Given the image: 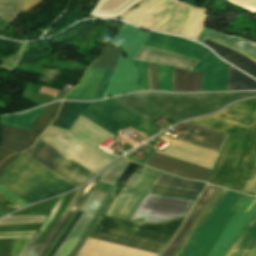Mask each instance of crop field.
Returning a JSON list of instances; mask_svg holds the SVG:
<instances>
[{
  "mask_svg": "<svg viewBox=\"0 0 256 256\" xmlns=\"http://www.w3.org/2000/svg\"><path fill=\"white\" fill-rule=\"evenodd\" d=\"M69 130L96 147L113 136L81 115ZM69 130L49 126L38 140L44 141L95 174L116 158Z\"/></svg>",
  "mask_w": 256,
  "mask_h": 256,
  "instance_id": "crop-field-5",
  "label": "crop field"
},
{
  "mask_svg": "<svg viewBox=\"0 0 256 256\" xmlns=\"http://www.w3.org/2000/svg\"><path fill=\"white\" fill-rule=\"evenodd\" d=\"M193 204V201L147 193L130 220L162 223L187 215Z\"/></svg>",
  "mask_w": 256,
  "mask_h": 256,
  "instance_id": "crop-field-10",
  "label": "crop field"
},
{
  "mask_svg": "<svg viewBox=\"0 0 256 256\" xmlns=\"http://www.w3.org/2000/svg\"><path fill=\"white\" fill-rule=\"evenodd\" d=\"M11 154H15L13 152L7 151V150H3L0 149V162L7 156L11 155Z\"/></svg>",
  "mask_w": 256,
  "mask_h": 256,
  "instance_id": "crop-field-58",
  "label": "crop field"
},
{
  "mask_svg": "<svg viewBox=\"0 0 256 256\" xmlns=\"http://www.w3.org/2000/svg\"><path fill=\"white\" fill-rule=\"evenodd\" d=\"M70 103L71 102H63L62 103V105L60 107V110H59V113H58V116H57V118L55 119V121L51 125H54L56 127L58 126L59 122L61 121V119L65 115L66 111L68 110V108L70 106Z\"/></svg>",
  "mask_w": 256,
  "mask_h": 256,
  "instance_id": "crop-field-52",
  "label": "crop field"
},
{
  "mask_svg": "<svg viewBox=\"0 0 256 256\" xmlns=\"http://www.w3.org/2000/svg\"><path fill=\"white\" fill-rule=\"evenodd\" d=\"M137 167V164H134L130 162L128 167L125 169L121 177L118 179V182L126 184L132 173L134 172L135 168Z\"/></svg>",
  "mask_w": 256,
  "mask_h": 256,
  "instance_id": "crop-field-50",
  "label": "crop field"
},
{
  "mask_svg": "<svg viewBox=\"0 0 256 256\" xmlns=\"http://www.w3.org/2000/svg\"><path fill=\"white\" fill-rule=\"evenodd\" d=\"M99 177L96 178V180L93 182V184L91 185L90 189L88 190V192L86 193V195L84 196V198L82 199V201L80 202L79 206L77 207V209L75 210L74 214L72 215V217L69 219V221L67 222V224L65 225V227L63 228V230L61 231V233L59 234V236L57 237V239L55 240V242L52 244V246L49 248L47 254L45 256L48 255V253L50 252V250L53 248V246L56 244V242L59 240V238L61 237V235L63 234V232L65 231V229L67 228V226L69 225V223L71 222V220L73 219V217L75 216V214L77 213V211L79 210V208L81 207V205L83 204V202L85 201V199L87 198V196L89 195V193L91 192L93 186L95 185V183L98 181Z\"/></svg>",
  "mask_w": 256,
  "mask_h": 256,
  "instance_id": "crop-field-45",
  "label": "crop field"
},
{
  "mask_svg": "<svg viewBox=\"0 0 256 256\" xmlns=\"http://www.w3.org/2000/svg\"><path fill=\"white\" fill-rule=\"evenodd\" d=\"M134 64L137 71L138 89L149 90L148 73H147L148 63L134 61Z\"/></svg>",
  "mask_w": 256,
  "mask_h": 256,
  "instance_id": "crop-field-40",
  "label": "crop field"
},
{
  "mask_svg": "<svg viewBox=\"0 0 256 256\" xmlns=\"http://www.w3.org/2000/svg\"><path fill=\"white\" fill-rule=\"evenodd\" d=\"M143 47L182 56L176 53H172V52H168V51H164V50H160V49H156V48H152L144 45ZM143 47H141L140 50L137 52V54L134 56L133 58L134 60L146 61V62L172 66L177 68H183L188 70H191V68L195 65L196 61H198V60L192 61V60H195L192 58H189L192 60L185 59V58H188L185 56H182V57H185V58H182L175 55H171V54H167V53H163V52H159V51H155V50H151Z\"/></svg>",
  "mask_w": 256,
  "mask_h": 256,
  "instance_id": "crop-field-20",
  "label": "crop field"
},
{
  "mask_svg": "<svg viewBox=\"0 0 256 256\" xmlns=\"http://www.w3.org/2000/svg\"><path fill=\"white\" fill-rule=\"evenodd\" d=\"M91 103H74L72 102L68 112L61 121L59 127L69 129L75 122L78 115L84 111Z\"/></svg>",
  "mask_w": 256,
  "mask_h": 256,
  "instance_id": "crop-field-37",
  "label": "crop field"
},
{
  "mask_svg": "<svg viewBox=\"0 0 256 256\" xmlns=\"http://www.w3.org/2000/svg\"><path fill=\"white\" fill-rule=\"evenodd\" d=\"M207 36L228 42L233 45H236V46L241 47V48L256 55V42L255 41L245 39V38H242L239 36L234 37V36L226 35L219 31H215V30H211V29H207V28H204L202 33L197 38V41L203 43L204 39Z\"/></svg>",
  "mask_w": 256,
  "mask_h": 256,
  "instance_id": "crop-field-30",
  "label": "crop field"
},
{
  "mask_svg": "<svg viewBox=\"0 0 256 256\" xmlns=\"http://www.w3.org/2000/svg\"><path fill=\"white\" fill-rule=\"evenodd\" d=\"M23 153L76 186L95 175L42 141ZM23 153L0 174V185L20 198L32 204L76 187Z\"/></svg>",
  "mask_w": 256,
  "mask_h": 256,
  "instance_id": "crop-field-2",
  "label": "crop field"
},
{
  "mask_svg": "<svg viewBox=\"0 0 256 256\" xmlns=\"http://www.w3.org/2000/svg\"><path fill=\"white\" fill-rule=\"evenodd\" d=\"M81 213H82L81 211H78V213L76 214V216L74 217V219L72 220V222L70 223V225L68 226V228L66 229V231L64 232V234L62 235V237L60 238V240L58 241V243L56 244V246L54 247V249L52 250L49 256H52L55 253V251L58 249V247L61 245V243L64 241V239L68 235L69 231L71 230V228L73 227V225L75 224V222L77 221Z\"/></svg>",
  "mask_w": 256,
  "mask_h": 256,
  "instance_id": "crop-field-48",
  "label": "crop field"
},
{
  "mask_svg": "<svg viewBox=\"0 0 256 256\" xmlns=\"http://www.w3.org/2000/svg\"><path fill=\"white\" fill-rule=\"evenodd\" d=\"M86 186V185H85ZM85 186L79 188L76 190L71 202L67 206L66 210L60 217V219L57 221L55 226L52 228V230L49 232L47 237L44 239L43 242L37 240L38 237L41 235V231H38V233L35 235V237L31 240V242L28 244V246L24 249V251L21 253L20 256H40V254L43 252L45 247L48 245L58 228L61 226L67 215L69 214L70 210L74 206L75 202L77 201L78 197L80 196L81 192L85 188Z\"/></svg>",
  "mask_w": 256,
  "mask_h": 256,
  "instance_id": "crop-field-25",
  "label": "crop field"
},
{
  "mask_svg": "<svg viewBox=\"0 0 256 256\" xmlns=\"http://www.w3.org/2000/svg\"><path fill=\"white\" fill-rule=\"evenodd\" d=\"M2 215H5V214L0 213V216H2Z\"/></svg>",
  "mask_w": 256,
  "mask_h": 256,
  "instance_id": "crop-field-60",
  "label": "crop field"
},
{
  "mask_svg": "<svg viewBox=\"0 0 256 256\" xmlns=\"http://www.w3.org/2000/svg\"><path fill=\"white\" fill-rule=\"evenodd\" d=\"M255 95L256 92L213 94L146 92L123 95L111 99L150 122L163 111L180 121L213 111L239 98Z\"/></svg>",
  "mask_w": 256,
  "mask_h": 256,
  "instance_id": "crop-field-4",
  "label": "crop field"
},
{
  "mask_svg": "<svg viewBox=\"0 0 256 256\" xmlns=\"http://www.w3.org/2000/svg\"><path fill=\"white\" fill-rule=\"evenodd\" d=\"M160 137L172 141L162 152L155 150V152L174 157L198 166L208 169H213L218 153L196 147L166 136Z\"/></svg>",
  "mask_w": 256,
  "mask_h": 256,
  "instance_id": "crop-field-14",
  "label": "crop field"
},
{
  "mask_svg": "<svg viewBox=\"0 0 256 256\" xmlns=\"http://www.w3.org/2000/svg\"><path fill=\"white\" fill-rule=\"evenodd\" d=\"M137 90L136 71L132 61L119 58L116 71L103 97Z\"/></svg>",
  "mask_w": 256,
  "mask_h": 256,
  "instance_id": "crop-field-19",
  "label": "crop field"
},
{
  "mask_svg": "<svg viewBox=\"0 0 256 256\" xmlns=\"http://www.w3.org/2000/svg\"><path fill=\"white\" fill-rule=\"evenodd\" d=\"M105 69L89 68L79 84L64 99L90 100Z\"/></svg>",
  "mask_w": 256,
  "mask_h": 256,
  "instance_id": "crop-field-23",
  "label": "crop field"
},
{
  "mask_svg": "<svg viewBox=\"0 0 256 256\" xmlns=\"http://www.w3.org/2000/svg\"><path fill=\"white\" fill-rule=\"evenodd\" d=\"M22 1L0 0V19L12 23L21 9Z\"/></svg>",
  "mask_w": 256,
  "mask_h": 256,
  "instance_id": "crop-field-35",
  "label": "crop field"
},
{
  "mask_svg": "<svg viewBox=\"0 0 256 256\" xmlns=\"http://www.w3.org/2000/svg\"><path fill=\"white\" fill-rule=\"evenodd\" d=\"M159 174L160 171L143 166L140 174L133 173L126 185L116 182L96 215L129 220Z\"/></svg>",
  "mask_w": 256,
  "mask_h": 256,
  "instance_id": "crop-field-7",
  "label": "crop field"
},
{
  "mask_svg": "<svg viewBox=\"0 0 256 256\" xmlns=\"http://www.w3.org/2000/svg\"><path fill=\"white\" fill-rule=\"evenodd\" d=\"M202 73L175 68L173 91H199Z\"/></svg>",
  "mask_w": 256,
  "mask_h": 256,
  "instance_id": "crop-field-29",
  "label": "crop field"
},
{
  "mask_svg": "<svg viewBox=\"0 0 256 256\" xmlns=\"http://www.w3.org/2000/svg\"><path fill=\"white\" fill-rule=\"evenodd\" d=\"M36 231L0 233V239L32 238Z\"/></svg>",
  "mask_w": 256,
  "mask_h": 256,
  "instance_id": "crop-field-44",
  "label": "crop field"
},
{
  "mask_svg": "<svg viewBox=\"0 0 256 256\" xmlns=\"http://www.w3.org/2000/svg\"><path fill=\"white\" fill-rule=\"evenodd\" d=\"M17 155L9 156L4 160L0 165V173L17 157Z\"/></svg>",
  "mask_w": 256,
  "mask_h": 256,
  "instance_id": "crop-field-57",
  "label": "crop field"
},
{
  "mask_svg": "<svg viewBox=\"0 0 256 256\" xmlns=\"http://www.w3.org/2000/svg\"><path fill=\"white\" fill-rule=\"evenodd\" d=\"M46 216H27V217H4L0 219V225L19 224V223H37L43 222Z\"/></svg>",
  "mask_w": 256,
  "mask_h": 256,
  "instance_id": "crop-field-41",
  "label": "crop field"
},
{
  "mask_svg": "<svg viewBox=\"0 0 256 256\" xmlns=\"http://www.w3.org/2000/svg\"><path fill=\"white\" fill-rule=\"evenodd\" d=\"M160 90L172 91L173 68L158 65Z\"/></svg>",
  "mask_w": 256,
  "mask_h": 256,
  "instance_id": "crop-field-39",
  "label": "crop field"
},
{
  "mask_svg": "<svg viewBox=\"0 0 256 256\" xmlns=\"http://www.w3.org/2000/svg\"><path fill=\"white\" fill-rule=\"evenodd\" d=\"M215 189H216L215 186L207 185L202 195L200 196L195 206L193 207L192 211L190 212L189 216L183 223L182 227L180 228V230L178 231V233L176 234L172 242L169 244V246L166 248V250L161 256H170L171 253L175 250V248L180 244L185 234L189 230L190 226L196 219L198 213L203 208V206L205 205V203L207 202V200L212 195Z\"/></svg>",
  "mask_w": 256,
  "mask_h": 256,
  "instance_id": "crop-field-26",
  "label": "crop field"
},
{
  "mask_svg": "<svg viewBox=\"0 0 256 256\" xmlns=\"http://www.w3.org/2000/svg\"><path fill=\"white\" fill-rule=\"evenodd\" d=\"M256 89V82L229 67L228 90Z\"/></svg>",
  "mask_w": 256,
  "mask_h": 256,
  "instance_id": "crop-field-32",
  "label": "crop field"
},
{
  "mask_svg": "<svg viewBox=\"0 0 256 256\" xmlns=\"http://www.w3.org/2000/svg\"><path fill=\"white\" fill-rule=\"evenodd\" d=\"M184 218L161 225L126 222L102 217L91 235L160 253ZM87 238L81 252L97 256H158V253L124 245L99 237ZM78 252L77 256H93Z\"/></svg>",
  "mask_w": 256,
  "mask_h": 256,
  "instance_id": "crop-field-3",
  "label": "crop field"
},
{
  "mask_svg": "<svg viewBox=\"0 0 256 256\" xmlns=\"http://www.w3.org/2000/svg\"><path fill=\"white\" fill-rule=\"evenodd\" d=\"M207 39L221 45V46H224L226 48H229V49H232L234 51H237L241 54H243L244 56L248 57L249 59L253 60L254 62H256V58L254 56H252L251 54H249L248 52H246L245 50L241 49V48H238V47H235L233 45H230L228 43H225V42H222V41H219V40H215V39H212V38H209L207 37Z\"/></svg>",
  "mask_w": 256,
  "mask_h": 256,
  "instance_id": "crop-field-46",
  "label": "crop field"
},
{
  "mask_svg": "<svg viewBox=\"0 0 256 256\" xmlns=\"http://www.w3.org/2000/svg\"><path fill=\"white\" fill-rule=\"evenodd\" d=\"M189 128L178 138V140L194 144L215 152H220L227 134L203 128L187 122L182 123Z\"/></svg>",
  "mask_w": 256,
  "mask_h": 256,
  "instance_id": "crop-field-18",
  "label": "crop field"
},
{
  "mask_svg": "<svg viewBox=\"0 0 256 256\" xmlns=\"http://www.w3.org/2000/svg\"><path fill=\"white\" fill-rule=\"evenodd\" d=\"M45 107L34 109L20 115L1 117L0 122L15 127L28 129Z\"/></svg>",
  "mask_w": 256,
  "mask_h": 256,
  "instance_id": "crop-field-31",
  "label": "crop field"
},
{
  "mask_svg": "<svg viewBox=\"0 0 256 256\" xmlns=\"http://www.w3.org/2000/svg\"><path fill=\"white\" fill-rule=\"evenodd\" d=\"M113 73H114L113 70H108V69L105 70L104 75H103V77H102L94 95H93L92 100L93 99H99V98L102 97V95H103V93H104V91H105Z\"/></svg>",
  "mask_w": 256,
  "mask_h": 256,
  "instance_id": "crop-field-42",
  "label": "crop field"
},
{
  "mask_svg": "<svg viewBox=\"0 0 256 256\" xmlns=\"http://www.w3.org/2000/svg\"><path fill=\"white\" fill-rule=\"evenodd\" d=\"M81 115L116 136L130 126L148 137L161 131L111 99L92 103Z\"/></svg>",
  "mask_w": 256,
  "mask_h": 256,
  "instance_id": "crop-field-8",
  "label": "crop field"
},
{
  "mask_svg": "<svg viewBox=\"0 0 256 256\" xmlns=\"http://www.w3.org/2000/svg\"><path fill=\"white\" fill-rule=\"evenodd\" d=\"M143 0H98L95 7L88 15L116 18L119 17Z\"/></svg>",
  "mask_w": 256,
  "mask_h": 256,
  "instance_id": "crop-field-24",
  "label": "crop field"
},
{
  "mask_svg": "<svg viewBox=\"0 0 256 256\" xmlns=\"http://www.w3.org/2000/svg\"><path fill=\"white\" fill-rule=\"evenodd\" d=\"M203 44L209 46L214 52H216L218 55H220L228 62L232 63L236 67L242 69L243 71L247 72L248 74L256 78V63H254L253 61L232 50L221 47L206 39Z\"/></svg>",
  "mask_w": 256,
  "mask_h": 256,
  "instance_id": "crop-field-28",
  "label": "crop field"
},
{
  "mask_svg": "<svg viewBox=\"0 0 256 256\" xmlns=\"http://www.w3.org/2000/svg\"><path fill=\"white\" fill-rule=\"evenodd\" d=\"M247 195L229 191L182 256H206Z\"/></svg>",
  "mask_w": 256,
  "mask_h": 256,
  "instance_id": "crop-field-9",
  "label": "crop field"
},
{
  "mask_svg": "<svg viewBox=\"0 0 256 256\" xmlns=\"http://www.w3.org/2000/svg\"><path fill=\"white\" fill-rule=\"evenodd\" d=\"M60 103L52 104L46 106L41 115L36 119V121L30 126V130L40 131L43 130L52 122L54 119L56 112L60 106Z\"/></svg>",
  "mask_w": 256,
  "mask_h": 256,
  "instance_id": "crop-field-34",
  "label": "crop field"
},
{
  "mask_svg": "<svg viewBox=\"0 0 256 256\" xmlns=\"http://www.w3.org/2000/svg\"><path fill=\"white\" fill-rule=\"evenodd\" d=\"M96 186V185H95ZM112 188V185L103 183V182H98L97 186L94 188V190L102 191L108 193Z\"/></svg>",
  "mask_w": 256,
  "mask_h": 256,
  "instance_id": "crop-field-56",
  "label": "crop field"
},
{
  "mask_svg": "<svg viewBox=\"0 0 256 256\" xmlns=\"http://www.w3.org/2000/svg\"><path fill=\"white\" fill-rule=\"evenodd\" d=\"M205 183L183 180L161 172L149 193L196 200Z\"/></svg>",
  "mask_w": 256,
  "mask_h": 256,
  "instance_id": "crop-field-12",
  "label": "crop field"
},
{
  "mask_svg": "<svg viewBox=\"0 0 256 256\" xmlns=\"http://www.w3.org/2000/svg\"><path fill=\"white\" fill-rule=\"evenodd\" d=\"M0 148L14 152H21L33 145L34 140L40 135L30 131L1 126Z\"/></svg>",
  "mask_w": 256,
  "mask_h": 256,
  "instance_id": "crop-field-22",
  "label": "crop field"
},
{
  "mask_svg": "<svg viewBox=\"0 0 256 256\" xmlns=\"http://www.w3.org/2000/svg\"><path fill=\"white\" fill-rule=\"evenodd\" d=\"M0 206L21 208L19 205H17L16 203H14L13 201L8 199L7 197L2 195L1 193H0Z\"/></svg>",
  "mask_w": 256,
  "mask_h": 256,
  "instance_id": "crop-field-54",
  "label": "crop field"
},
{
  "mask_svg": "<svg viewBox=\"0 0 256 256\" xmlns=\"http://www.w3.org/2000/svg\"><path fill=\"white\" fill-rule=\"evenodd\" d=\"M144 44L198 59L202 58L207 51L203 46L189 40L154 32H151Z\"/></svg>",
  "mask_w": 256,
  "mask_h": 256,
  "instance_id": "crop-field-17",
  "label": "crop field"
},
{
  "mask_svg": "<svg viewBox=\"0 0 256 256\" xmlns=\"http://www.w3.org/2000/svg\"><path fill=\"white\" fill-rule=\"evenodd\" d=\"M128 164L127 160H117L101 174L100 181L114 185Z\"/></svg>",
  "mask_w": 256,
  "mask_h": 256,
  "instance_id": "crop-field-36",
  "label": "crop field"
},
{
  "mask_svg": "<svg viewBox=\"0 0 256 256\" xmlns=\"http://www.w3.org/2000/svg\"><path fill=\"white\" fill-rule=\"evenodd\" d=\"M225 256H256V216Z\"/></svg>",
  "mask_w": 256,
  "mask_h": 256,
  "instance_id": "crop-field-27",
  "label": "crop field"
},
{
  "mask_svg": "<svg viewBox=\"0 0 256 256\" xmlns=\"http://www.w3.org/2000/svg\"><path fill=\"white\" fill-rule=\"evenodd\" d=\"M229 134L209 183L256 195V98L187 121Z\"/></svg>",
  "mask_w": 256,
  "mask_h": 256,
  "instance_id": "crop-field-1",
  "label": "crop field"
},
{
  "mask_svg": "<svg viewBox=\"0 0 256 256\" xmlns=\"http://www.w3.org/2000/svg\"><path fill=\"white\" fill-rule=\"evenodd\" d=\"M0 192L22 207L29 205L27 202L23 201L22 199H20L19 197H17L16 195H14L13 193L9 192L8 190H6L1 186H0Z\"/></svg>",
  "mask_w": 256,
  "mask_h": 256,
  "instance_id": "crop-field-51",
  "label": "crop field"
},
{
  "mask_svg": "<svg viewBox=\"0 0 256 256\" xmlns=\"http://www.w3.org/2000/svg\"><path fill=\"white\" fill-rule=\"evenodd\" d=\"M67 92L68 91H60L59 94L57 95V97L55 98V100L62 99L66 95Z\"/></svg>",
  "mask_w": 256,
  "mask_h": 256,
  "instance_id": "crop-field-59",
  "label": "crop field"
},
{
  "mask_svg": "<svg viewBox=\"0 0 256 256\" xmlns=\"http://www.w3.org/2000/svg\"><path fill=\"white\" fill-rule=\"evenodd\" d=\"M256 212V198L248 196L229 220L207 256H222Z\"/></svg>",
  "mask_w": 256,
  "mask_h": 256,
  "instance_id": "crop-field-11",
  "label": "crop field"
},
{
  "mask_svg": "<svg viewBox=\"0 0 256 256\" xmlns=\"http://www.w3.org/2000/svg\"><path fill=\"white\" fill-rule=\"evenodd\" d=\"M227 192V189H222L221 192L218 194V196L216 197V199L214 200V202L212 203V205L210 206V208L208 209L207 213L205 214V216L203 217V219L201 220V222L199 223V225L197 226V228L195 229V231L193 232V234L191 235V237L188 239V241L186 242V244L183 246V248L180 250V252L176 255V256H181L183 254V252L187 249V247L190 245V243L192 242V240L194 239V237L197 235V233L199 232V230L201 229V227L203 226V224L206 222V220L208 219V217L210 216V214L213 212V210L215 209V207L217 206V204L220 202V200L222 199V197L224 196V194Z\"/></svg>",
  "mask_w": 256,
  "mask_h": 256,
  "instance_id": "crop-field-38",
  "label": "crop field"
},
{
  "mask_svg": "<svg viewBox=\"0 0 256 256\" xmlns=\"http://www.w3.org/2000/svg\"><path fill=\"white\" fill-rule=\"evenodd\" d=\"M232 3H235L239 6L247 8L253 12H256V0H228Z\"/></svg>",
  "mask_w": 256,
  "mask_h": 256,
  "instance_id": "crop-field-49",
  "label": "crop field"
},
{
  "mask_svg": "<svg viewBox=\"0 0 256 256\" xmlns=\"http://www.w3.org/2000/svg\"><path fill=\"white\" fill-rule=\"evenodd\" d=\"M148 35V32L124 24L109 45L122 47L120 57L126 51L127 58L132 59Z\"/></svg>",
  "mask_w": 256,
  "mask_h": 256,
  "instance_id": "crop-field-21",
  "label": "crop field"
},
{
  "mask_svg": "<svg viewBox=\"0 0 256 256\" xmlns=\"http://www.w3.org/2000/svg\"><path fill=\"white\" fill-rule=\"evenodd\" d=\"M41 0H23L21 11L26 12L37 6Z\"/></svg>",
  "mask_w": 256,
  "mask_h": 256,
  "instance_id": "crop-field-53",
  "label": "crop field"
},
{
  "mask_svg": "<svg viewBox=\"0 0 256 256\" xmlns=\"http://www.w3.org/2000/svg\"><path fill=\"white\" fill-rule=\"evenodd\" d=\"M207 13L177 0H146L122 16L124 21L138 26L177 34L196 40Z\"/></svg>",
  "mask_w": 256,
  "mask_h": 256,
  "instance_id": "crop-field-6",
  "label": "crop field"
},
{
  "mask_svg": "<svg viewBox=\"0 0 256 256\" xmlns=\"http://www.w3.org/2000/svg\"><path fill=\"white\" fill-rule=\"evenodd\" d=\"M145 165L175 174L184 178L208 181L211 170L188 164L158 153L152 152Z\"/></svg>",
  "mask_w": 256,
  "mask_h": 256,
  "instance_id": "crop-field-15",
  "label": "crop field"
},
{
  "mask_svg": "<svg viewBox=\"0 0 256 256\" xmlns=\"http://www.w3.org/2000/svg\"><path fill=\"white\" fill-rule=\"evenodd\" d=\"M105 196L106 193L92 190V192L80 208V210H84L83 214L81 215L63 244L54 254V256H67L69 254V252L75 246V244L93 219Z\"/></svg>",
  "mask_w": 256,
  "mask_h": 256,
  "instance_id": "crop-field-13",
  "label": "crop field"
},
{
  "mask_svg": "<svg viewBox=\"0 0 256 256\" xmlns=\"http://www.w3.org/2000/svg\"><path fill=\"white\" fill-rule=\"evenodd\" d=\"M94 181V180H93ZM90 182V184H92V182ZM82 196L79 197L78 201L75 204V207H77V205L79 204V202L81 201ZM72 211L70 212V214L68 215V217L66 218V220L64 221V223L62 224V226L60 227V229L58 230V232L56 233V235L54 236V238L52 239V241L50 242V244L48 245V247L46 248V250L44 251V253L42 254V256L45 255V253L47 252L48 248L50 247V245L53 243V241L56 239V237L58 236V234L60 233V231L62 230V228L64 227V225L66 224V222L68 221V219L70 218V216L72 215Z\"/></svg>",
  "mask_w": 256,
  "mask_h": 256,
  "instance_id": "crop-field-55",
  "label": "crop field"
},
{
  "mask_svg": "<svg viewBox=\"0 0 256 256\" xmlns=\"http://www.w3.org/2000/svg\"><path fill=\"white\" fill-rule=\"evenodd\" d=\"M121 48L105 47L100 57L91 64L93 67L115 69Z\"/></svg>",
  "mask_w": 256,
  "mask_h": 256,
  "instance_id": "crop-field-33",
  "label": "crop field"
},
{
  "mask_svg": "<svg viewBox=\"0 0 256 256\" xmlns=\"http://www.w3.org/2000/svg\"><path fill=\"white\" fill-rule=\"evenodd\" d=\"M193 71L203 72L201 91L227 90L228 66L210 51L194 66Z\"/></svg>",
  "mask_w": 256,
  "mask_h": 256,
  "instance_id": "crop-field-16",
  "label": "crop field"
},
{
  "mask_svg": "<svg viewBox=\"0 0 256 256\" xmlns=\"http://www.w3.org/2000/svg\"><path fill=\"white\" fill-rule=\"evenodd\" d=\"M30 239H15L10 256H18Z\"/></svg>",
  "mask_w": 256,
  "mask_h": 256,
  "instance_id": "crop-field-47",
  "label": "crop field"
},
{
  "mask_svg": "<svg viewBox=\"0 0 256 256\" xmlns=\"http://www.w3.org/2000/svg\"><path fill=\"white\" fill-rule=\"evenodd\" d=\"M150 90H159L157 65L149 63Z\"/></svg>",
  "mask_w": 256,
  "mask_h": 256,
  "instance_id": "crop-field-43",
  "label": "crop field"
}]
</instances>
